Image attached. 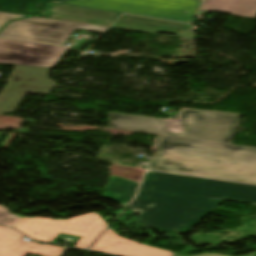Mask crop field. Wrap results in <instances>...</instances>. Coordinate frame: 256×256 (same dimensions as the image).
I'll return each instance as SVG.
<instances>
[{"label":"crop field","instance_id":"obj_5","mask_svg":"<svg viewBox=\"0 0 256 256\" xmlns=\"http://www.w3.org/2000/svg\"><path fill=\"white\" fill-rule=\"evenodd\" d=\"M76 28L103 32L107 27L34 17L10 23L0 36L61 45Z\"/></svg>","mask_w":256,"mask_h":256},{"label":"crop field","instance_id":"obj_8","mask_svg":"<svg viewBox=\"0 0 256 256\" xmlns=\"http://www.w3.org/2000/svg\"><path fill=\"white\" fill-rule=\"evenodd\" d=\"M91 250L102 251L123 256H171V252L138 244L117 236L114 231H107L90 248Z\"/></svg>","mask_w":256,"mask_h":256},{"label":"crop field","instance_id":"obj_14","mask_svg":"<svg viewBox=\"0 0 256 256\" xmlns=\"http://www.w3.org/2000/svg\"><path fill=\"white\" fill-rule=\"evenodd\" d=\"M52 1L62 0H0V11L20 15H44L45 8Z\"/></svg>","mask_w":256,"mask_h":256},{"label":"crop field","instance_id":"obj_1","mask_svg":"<svg viewBox=\"0 0 256 256\" xmlns=\"http://www.w3.org/2000/svg\"><path fill=\"white\" fill-rule=\"evenodd\" d=\"M239 117L181 109L177 121L109 113V124L162 134L148 169L256 184V147L230 144Z\"/></svg>","mask_w":256,"mask_h":256},{"label":"crop field","instance_id":"obj_2","mask_svg":"<svg viewBox=\"0 0 256 256\" xmlns=\"http://www.w3.org/2000/svg\"><path fill=\"white\" fill-rule=\"evenodd\" d=\"M135 200L157 204L138 225L184 234L223 200L256 204V186L148 172Z\"/></svg>","mask_w":256,"mask_h":256},{"label":"crop field","instance_id":"obj_19","mask_svg":"<svg viewBox=\"0 0 256 256\" xmlns=\"http://www.w3.org/2000/svg\"><path fill=\"white\" fill-rule=\"evenodd\" d=\"M254 256H256V253H254Z\"/></svg>","mask_w":256,"mask_h":256},{"label":"crop field","instance_id":"obj_4","mask_svg":"<svg viewBox=\"0 0 256 256\" xmlns=\"http://www.w3.org/2000/svg\"><path fill=\"white\" fill-rule=\"evenodd\" d=\"M200 2L198 0H74L64 4L187 22L193 21Z\"/></svg>","mask_w":256,"mask_h":256},{"label":"crop field","instance_id":"obj_7","mask_svg":"<svg viewBox=\"0 0 256 256\" xmlns=\"http://www.w3.org/2000/svg\"><path fill=\"white\" fill-rule=\"evenodd\" d=\"M67 48L0 38V63L53 67Z\"/></svg>","mask_w":256,"mask_h":256},{"label":"crop field","instance_id":"obj_13","mask_svg":"<svg viewBox=\"0 0 256 256\" xmlns=\"http://www.w3.org/2000/svg\"><path fill=\"white\" fill-rule=\"evenodd\" d=\"M138 184V182L111 175L102 197L125 207L134 196Z\"/></svg>","mask_w":256,"mask_h":256},{"label":"crop field","instance_id":"obj_11","mask_svg":"<svg viewBox=\"0 0 256 256\" xmlns=\"http://www.w3.org/2000/svg\"><path fill=\"white\" fill-rule=\"evenodd\" d=\"M189 26L124 15L112 27L151 33L168 32L177 36L195 39L197 36L190 32Z\"/></svg>","mask_w":256,"mask_h":256},{"label":"crop field","instance_id":"obj_17","mask_svg":"<svg viewBox=\"0 0 256 256\" xmlns=\"http://www.w3.org/2000/svg\"><path fill=\"white\" fill-rule=\"evenodd\" d=\"M22 17H26V16H20V15H14V14L0 12V28L2 26H4L7 22H9L11 19L22 18Z\"/></svg>","mask_w":256,"mask_h":256},{"label":"crop field","instance_id":"obj_15","mask_svg":"<svg viewBox=\"0 0 256 256\" xmlns=\"http://www.w3.org/2000/svg\"><path fill=\"white\" fill-rule=\"evenodd\" d=\"M8 211L6 207L0 206V224L12 227L18 220L17 215H3L4 212Z\"/></svg>","mask_w":256,"mask_h":256},{"label":"crop field","instance_id":"obj_9","mask_svg":"<svg viewBox=\"0 0 256 256\" xmlns=\"http://www.w3.org/2000/svg\"><path fill=\"white\" fill-rule=\"evenodd\" d=\"M23 235L12 229L0 227V256H26L35 254L39 256H58L63 248L40 245L34 242H27Z\"/></svg>","mask_w":256,"mask_h":256},{"label":"crop field","instance_id":"obj_3","mask_svg":"<svg viewBox=\"0 0 256 256\" xmlns=\"http://www.w3.org/2000/svg\"><path fill=\"white\" fill-rule=\"evenodd\" d=\"M106 226L97 213H89L68 220L20 217L13 228L47 242H52L59 232L82 236L73 247L83 248L88 247Z\"/></svg>","mask_w":256,"mask_h":256},{"label":"crop field","instance_id":"obj_18","mask_svg":"<svg viewBox=\"0 0 256 256\" xmlns=\"http://www.w3.org/2000/svg\"><path fill=\"white\" fill-rule=\"evenodd\" d=\"M195 256H231L225 254H202V255H195ZM242 256H253V253L242 255Z\"/></svg>","mask_w":256,"mask_h":256},{"label":"crop field","instance_id":"obj_6","mask_svg":"<svg viewBox=\"0 0 256 256\" xmlns=\"http://www.w3.org/2000/svg\"><path fill=\"white\" fill-rule=\"evenodd\" d=\"M48 68L15 66L0 94V114L16 111L27 93L48 94L56 84L46 76Z\"/></svg>","mask_w":256,"mask_h":256},{"label":"crop field","instance_id":"obj_16","mask_svg":"<svg viewBox=\"0 0 256 256\" xmlns=\"http://www.w3.org/2000/svg\"><path fill=\"white\" fill-rule=\"evenodd\" d=\"M129 206L140 214L144 211H150L155 205L146 202L133 201Z\"/></svg>","mask_w":256,"mask_h":256},{"label":"crop field","instance_id":"obj_10","mask_svg":"<svg viewBox=\"0 0 256 256\" xmlns=\"http://www.w3.org/2000/svg\"><path fill=\"white\" fill-rule=\"evenodd\" d=\"M119 16L116 13L59 4L49 6L45 18L109 26Z\"/></svg>","mask_w":256,"mask_h":256},{"label":"crop field","instance_id":"obj_12","mask_svg":"<svg viewBox=\"0 0 256 256\" xmlns=\"http://www.w3.org/2000/svg\"><path fill=\"white\" fill-rule=\"evenodd\" d=\"M201 9L253 18L256 0H204Z\"/></svg>","mask_w":256,"mask_h":256}]
</instances>
